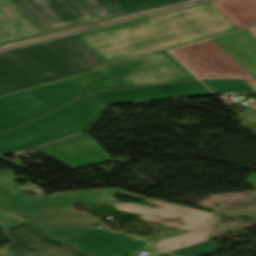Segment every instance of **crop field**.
<instances>
[{"mask_svg":"<svg viewBox=\"0 0 256 256\" xmlns=\"http://www.w3.org/2000/svg\"><path fill=\"white\" fill-rule=\"evenodd\" d=\"M212 5L1 53L0 95L238 29Z\"/></svg>","mask_w":256,"mask_h":256,"instance_id":"1","label":"crop field"},{"mask_svg":"<svg viewBox=\"0 0 256 256\" xmlns=\"http://www.w3.org/2000/svg\"><path fill=\"white\" fill-rule=\"evenodd\" d=\"M174 59L164 51L0 97V133L91 92L197 80Z\"/></svg>","mask_w":256,"mask_h":256,"instance_id":"2","label":"crop field"},{"mask_svg":"<svg viewBox=\"0 0 256 256\" xmlns=\"http://www.w3.org/2000/svg\"><path fill=\"white\" fill-rule=\"evenodd\" d=\"M170 52L200 79H256V37L247 29Z\"/></svg>","mask_w":256,"mask_h":256,"instance_id":"3","label":"crop field"},{"mask_svg":"<svg viewBox=\"0 0 256 256\" xmlns=\"http://www.w3.org/2000/svg\"><path fill=\"white\" fill-rule=\"evenodd\" d=\"M147 204L159 206V209L134 205L130 203L112 204L121 211L142 215V220L156 222L161 225L181 228L189 233L161 241L154 246L158 249L172 252L179 256H203L215 252L223 247L213 243L207 236L214 231L216 221L212 220V213L185 208L161 201H147ZM180 217L182 220L174 218ZM165 219L184 222L179 225L164 221ZM181 243H185L181 245Z\"/></svg>","mask_w":256,"mask_h":256,"instance_id":"4","label":"crop field"},{"mask_svg":"<svg viewBox=\"0 0 256 256\" xmlns=\"http://www.w3.org/2000/svg\"><path fill=\"white\" fill-rule=\"evenodd\" d=\"M94 95L12 132L0 135V154L18 152L74 135L90 127L105 108Z\"/></svg>","mask_w":256,"mask_h":256,"instance_id":"5","label":"crop field"},{"mask_svg":"<svg viewBox=\"0 0 256 256\" xmlns=\"http://www.w3.org/2000/svg\"><path fill=\"white\" fill-rule=\"evenodd\" d=\"M13 1L47 33L124 14L117 0Z\"/></svg>","mask_w":256,"mask_h":256,"instance_id":"6","label":"crop field"},{"mask_svg":"<svg viewBox=\"0 0 256 256\" xmlns=\"http://www.w3.org/2000/svg\"><path fill=\"white\" fill-rule=\"evenodd\" d=\"M114 194L131 196L144 201L154 200L144 196L134 195L127 193L126 191L115 189L57 193L54 197L30 198L22 192L12 193L0 185V208L11 212H20L29 210L72 207L75 204L99 205L118 202L113 196ZM18 223H21L20 220H16L7 212L0 210L1 228L6 229Z\"/></svg>","mask_w":256,"mask_h":256,"instance_id":"7","label":"crop field"},{"mask_svg":"<svg viewBox=\"0 0 256 256\" xmlns=\"http://www.w3.org/2000/svg\"><path fill=\"white\" fill-rule=\"evenodd\" d=\"M4 232L14 242L6 245L12 256H86L77 250L74 243L53 240L29 222Z\"/></svg>","mask_w":256,"mask_h":256,"instance_id":"8","label":"crop field"},{"mask_svg":"<svg viewBox=\"0 0 256 256\" xmlns=\"http://www.w3.org/2000/svg\"><path fill=\"white\" fill-rule=\"evenodd\" d=\"M49 157L77 170L113 158L85 133L40 147Z\"/></svg>","mask_w":256,"mask_h":256,"instance_id":"9","label":"crop field"},{"mask_svg":"<svg viewBox=\"0 0 256 256\" xmlns=\"http://www.w3.org/2000/svg\"><path fill=\"white\" fill-rule=\"evenodd\" d=\"M211 94L199 82L169 84L134 90L113 91L95 94L106 105L120 102L166 99L171 97Z\"/></svg>","mask_w":256,"mask_h":256,"instance_id":"10","label":"crop field"},{"mask_svg":"<svg viewBox=\"0 0 256 256\" xmlns=\"http://www.w3.org/2000/svg\"><path fill=\"white\" fill-rule=\"evenodd\" d=\"M45 34L12 0H0V45Z\"/></svg>","mask_w":256,"mask_h":256,"instance_id":"11","label":"crop field"},{"mask_svg":"<svg viewBox=\"0 0 256 256\" xmlns=\"http://www.w3.org/2000/svg\"><path fill=\"white\" fill-rule=\"evenodd\" d=\"M211 4L239 28L256 24V0H220Z\"/></svg>","mask_w":256,"mask_h":256,"instance_id":"12","label":"crop field"},{"mask_svg":"<svg viewBox=\"0 0 256 256\" xmlns=\"http://www.w3.org/2000/svg\"><path fill=\"white\" fill-rule=\"evenodd\" d=\"M34 224L60 240L92 229L94 228L93 225H102L99 218L86 220H63Z\"/></svg>","mask_w":256,"mask_h":256,"instance_id":"13","label":"crop field"},{"mask_svg":"<svg viewBox=\"0 0 256 256\" xmlns=\"http://www.w3.org/2000/svg\"><path fill=\"white\" fill-rule=\"evenodd\" d=\"M124 236L120 239L85 250L89 254L101 256H126L136 251L151 247L143 241H134Z\"/></svg>","mask_w":256,"mask_h":256,"instance_id":"14","label":"crop field"},{"mask_svg":"<svg viewBox=\"0 0 256 256\" xmlns=\"http://www.w3.org/2000/svg\"><path fill=\"white\" fill-rule=\"evenodd\" d=\"M15 214L31 222H45V221H55V220H63V219L94 218L87 214H76L72 212L71 208L20 212Z\"/></svg>","mask_w":256,"mask_h":256,"instance_id":"15","label":"crop field"},{"mask_svg":"<svg viewBox=\"0 0 256 256\" xmlns=\"http://www.w3.org/2000/svg\"><path fill=\"white\" fill-rule=\"evenodd\" d=\"M124 235L125 234L109 233L107 231L98 230L97 228H94L92 230L75 235L65 240L75 241L79 244L82 250H85L90 247L120 238Z\"/></svg>","mask_w":256,"mask_h":256,"instance_id":"16","label":"crop field"},{"mask_svg":"<svg viewBox=\"0 0 256 256\" xmlns=\"http://www.w3.org/2000/svg\"><path fill=\"white\" fill-rule=\"evenodd\" d=\"M214 93L255 91L243 80L203 81Z\"/></svg>","mask_w":256,"mask_h":256,"instance_id":"17","label":"crop field"},{"mask_svg":"<svg viewBox=\"0 0 256 256\" xmlns=\"http://www.w3.org/2000/svg\"><path fill=\"white\" fill-rule=\"evenodd\" d=\"M183 0H118L125 14L159 7Z\"/></svg>","mask_w":256,"mask_h":256,"instance_id":"18","label":"crop field"},{"mask_svg":"<svg viewBox=\"0 0 256 256\" xmlns=\"http://www.w3.org/2000/svg\"><path fill=\"white\" fill-rule=\"evenodd\" d=\"M4 171V170H3ZM8 171L7 173H5L4 175L0 174V182L2 184H4L5 186L9 187L10 189H12L13 191H20L21 189H19L17 186L11 184L10 182L17 180L19 178L13 177L12 175H10V170H6ZM2 171H0L1 173ZM9 176L10 178L6 177Z\"/></svg>","mask_w":256,"mask_h":256,"instance_id":"19","label":"crop field"},{"mask_svg":"<svg viewBox=\"0 0 256 256\" xmlns=\"http://www.w3.org/2000/svg\"><path fill=\"white\" fill-rule=\"evenodd\" d=\"M247 181L256 188V173L249 176Z\"/></svg>","mask_w":256,"mask_h":256,"instance_id":"20","label":"crop field"},{"mask_svg":"<svg viewBox=\"0 0 256 256\" xmlns=\"http://www.w3.org/2000/svg\"><path fill=\"white\" fill-rule=\"evenodd\" d=\"M251 87L256 90V81H246Z\"/></svg>","mask_w":256,"mask_h":256,"instance_id":"21","label":"crop field"},{"mask_svg":"<svg viewBox=\"0 0 256 256\" xmlns=\"http://www.w3.org/2000/svg\"><path fill=\"white\" fill-rule=\"evenodd\" d=\"M248 30L256 36V27L248 28Z\"/></svg>","mask_w":256,"mask_h":256,"instance_id":"22","label":"crop field"},{"mask_svg":"<svg viewBox=\"0 0 256 256\" xmlns=\"http://www.w3.org/2000/svg\"><path fill=\"white\" fill-rule=\"evenodd\" d=\"M162 256H173V255H170V254H166V255H162Z\"/></svg>","mask_w":256,"mask_h":256,"instance_id":"23","label":"crop field"}]
</instances>
